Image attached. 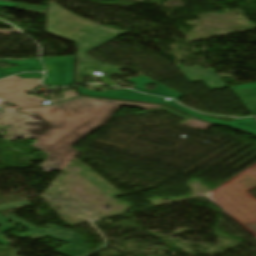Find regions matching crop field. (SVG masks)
Here are the masks:
<instances>
[{
	"mask_svg": "<svg viewBox=\"0 0 256 256\" xmlns=\"http://www.w3.org/2000/svg\"><path fill=\"white\" fill-rule=\"evenodd\" d=\"M136 106L141 109L162 107L157 105L97 99L80 96L74 100L61 104L19 109L20 113H37L53 128L36 139L32 144L36 148L50 154L45 164L39 166L45 172L51 170L63 171L79 151L69 148L70 145L85 137L104 123L121 106ZM83 112L82 115L76 114Z\"/></svg>",
	"mask_w": 256,
	"mask_h": 256,
	"instance_id": "8a807250",
	"label": "crop field"
},
{
	"mask_svg": "<svg viewBox=\"0 0 256 256\" xmlns=\"http://www.w3.org/2000/svg\"><path fill=\"white\" fill-rule=\"evenodd\" d=\"M57 23V24H55ZM76 26H73L76 24ZM47 31L78 43V61L99 63L85 53L125 33L101 26L69 12L56 3L49 4Z\"/></svg>",
	"mask_w": 256,
	"mask_h": 256,
	"instance_id": "ac0d7876",
	"label": "crop field"
},
{
	"mask_svg": "<svg viewBox=\"0 0 256 256\" xmlns=\"http://www.w3.org/2000/svg\"><path fill=\"white\" fill-rule=\"evenodd\" d=\"M0 122L10 125L8 128L24 139L37 138L52 128L37 114H19L18 106L0 98Z\"/></svg>",
	"mask_w": 256,
	"mask_h": 256,
	"instance_id": "34b2d1b8",
	"label": "crop field"
},
{
	"mask_svg": "<svg viewBox=\"0 0 256 256\" xmlns=\"http://www.w3.org/2000/svg\"><path fill=\"white\" fill-rule=\"evenodd\" d=\"M40 80L41 79H20L17 76L0 80V97L18 104L19 107L41 106L42 104L40 102H42L43 99L25 95V91L38 86ZM63 93L64 97L62 99L52 101L58 102L77 96L72 90Z\"/></svg>",
	"mask_w": 256,
	"mask_h": 256,
	"instance_id": "412701ff",
	"label": "crop field"
},
{
	"mask_svg": "<svg viewBox=\"0 0 256 256\" xmlns=\"http://www.w3.org/2000/svg\"><path fill=\"white\" fill-rule=\"evenodd\" d=\"M47 69L43 84L52 86L73 83V57L42 59Z\"/></svg>",
	"mask_w": 256,
	"mask_h": 256,
	"instance_id": "f4fd0767",
	"label": "crop field"
},
{
	"mask_svg": "<svg viewBox=\"0 0 256 256\" xmlns=\"http://www.w3.org/2000/svg\"><path fill=\"white\" fill-rule=\"evenodd\" d=\"M7 217L30 231L88 248V246L84 243V241L78 236V234L75 231L61 228L58 226H53L52 228H50L51 230L45 231L42 229H38L28 223H25L24 220L20 219L15 215H10ZM56 231H59V233H57ZM69 232H72V234H70Z\"/></svg>",
	"mask_w": 256,
	"mask_h": 256,
	"instance_id": "dd49c442",
	"label": "crop field"
},
{
	"mask_svg": "<svg viewBox=\"0 0 256 256\" xmlns=\"http://www.w3.org/2000/svg\"><path fill=\"white\" fill-rule=\"evenodd\" d=\"M78 92L86 95H99V96L121 98V99L140 100V101H147L152 103H162L166 105H173L175 103L174 100L170 102H163L164 98L155 97V96H145L144 94H140L132 90L105 91L103 93H98L94 91H88L83 88H78Z\"/></svg>",
	"mask_w": 256,
	"mask_h": 256,
	"instance_id": "e52e79f7",
	"label": "crop field"
},
{
	"mask_svg": "<svg viewBox=\"0 0 256 256\" xmlns=\"http://www.w3.org/2000/svg\"><path fill=\"white\" fill-rule=\"evenodd\" d=\"M172 107H174V108H176V109H178V110H180L184 113H187L191 116H194L196 118L206 120V121H210V122H214V123H218V124H222V125H226V126H230V127H234V128H238V129H242V130H245V131H247V132L256 136V121H255L254 118L238 119V120L227 122V121L207 117L205 115L199 114L197 112H194V111H191L187 108L179 106L176 103Z\"/></svg>",
	"mask_w": 256,
	"mask_h": 256,
	"instance_id": "d8731c3e",
	"label": "crop field"
},
{
	"mask_svg": "<svg viewBox=\"0 0 256 256\" xmlns=\"http://www.w3.org/2000/svg\"><path fill=\"white\" fill-rule=\"evenodd\" d=\"M129 82L136 84V86L134 87L135 90H138L140 92L147 93V94H152V95H157V96H162V97H172L175 99H177L179 96L182 95V94H180L162 84H159L143 75H138L137 78H130ZM146 83H154L157 86L155 87V89L153 91L147 90V89H145Z\"/></svg>",
	"mask_w": 256,
	"mask_h": 256,
	"instance_id": "5a996713",
	"label": "crop field"
},
{
	"mask_svg": "<svg viewBox=\"0 0 256 256\" xmlns=\"http://www.w3.org/2000/svg\"><path fill=\"white\" fill-rule=\"evenodd\" d=\"M242 103L256 115V83L231 88Z\"/></svg>",
	"mask_w": 256,
	"mask_h": 256,
	"instance_id": "3316defc",
	"label": "crop field"
},
{
	"mask_svg": "<svg viewBox=\"0 0 256 256\" xmlns=\"http://www.w3.org/2000/svg\"><path fill=\"white\" fill-rule=\"evenodd\" d=\"M88 67H95L100 68L101 72L107 73L106 76L100 77L102 80L105 81L107 84H113L114 82L111 81L108 76H111L113 74H117L122 76L124 73L119 72L120 68L117 67H109V66H100V65H93L88 63H77V82L83 83V76H92L90 70Z\"/></svg>",
	"mask_w": 256,
	"mask_h": 256,
	"instance_id": "28ad6ade",
	"label": "crop field"
},
{
	"mask_svg": "<svg viewBox=\"0 0 256 256\" xmlns=\"http://www.w3.org/2000/svg\"><path fill=\"white\" fill-rule=\"evenodd\" d=\"M0 61H5L9 64H17V67H11V68H6L2 69L0 68L1 71L4 73L10 75L16 72L20 71H37V70H43L42 65L40 64V61L38 59H29V60H0Z\"/></svg>",
	"mask_w": 256,
	"mask_h": 256,
	"instance_id": "d1516ede",
	"label": "crop field"
},
{
	"mask_svg": "<svg viewBox=\"0 0 256 256\" xmlns=\"http://www.w3.org/2000/svg\"><path fill=\"white\" fill-rule=\"evenodd\" d=\"M88 251H89L88 249L69 244L63 247L62 249L58 250L57 252L65 256H81L87 253Z\"/></svg>",
	"mask_w": 256,
	"mask_h": 256,
	"instance_id": "22f410ed",
	"label": "crop field"
},
{
	"mask_svg": "<svg viewBox=\"0 0 256 256\" xmlns=\"http://www.w3.org/2000/svg\"><path fill=\"white\" fill-rule=\"evenodd\" d=\"M0 6L8 7V8H14V9L34 11V12H41V13H44V11H45V9H42V8L30 7V6H24V5H17V4H11V3H5V2H0Z\"/></svg>",
	"mask_w": 256,
	"mask_h": 256,
	"instance_id": "cbeb9de0",
	"label": "crop field"
},
{
	"mask_svg": "<svg viewBox=\"0 0 256 256\" xmlns=\"http://www.w3.org/2000/svg\"><path fill=\"white\" fill-rule=\"evenodd\" d=\"M161 110H164V111H166V112H169V113H171V114H173V115H175V116H177V117H179V118H181V119H189V118H190V117L184 116V115H182V114H179V113H177V112H175V111H173V110H171V109H169V108H163V109H156V110H151V111H145V112H140V113H137V114L150 113V112H156V111H161Z\"/></svg>",
	"mask_w": 256,
	"mask_h": 256,
	"instance_id": "5142ce71",
	"label": "crop field"
},
{
	"mask_svg": "<svg viewBox=\"0 0 256 256\" xmlns=\"http://www.w3.org/2000/svg\"><path fill=\"white\" fill-rule=\"evenodd\" d=\"M12 228H14V227L11 226V225L5 224V225L1 226V228H0V233H2L3 231H6V230H10V229H12ZM0 237H2V239H0V243H2V244H4V245L8 246L7 244H8V242H9V240L6 239V238H5L4 236H2L1 234H0Z\"/></svg>",
	"mask_w": 256,
	"mask_h": 256,
	"instance_id": "d9b57169",
	"label": "crop field"
},
{
	"mask_svg": "<svg viewBox=\"0 0 256 256\" xmlns=\"http://www.w3.org/2000/svg\"><path fill=\"white\" fill-rule=\"evenodd\" d=\"M21 78H42V73H24L21 75H18Z\"/></svg>",
	"mask_w": 256,
	"mask_h": 256,
	"instance_id": "733c2abd",
	"label": "crop field"
},
{
	"mask_svg": "<svg viewBox=\"0 0 256 256\" xmlns=\"http://www.w3.org/2000/svg\"><path fill=\"white\" fill-rule=\"evenodd\" d=\"M27 204H28V202L24 201V202H19V203L3 205V206H0V210H4V209H8V208H13V207H18V206L27 205Z\"/></svg>",
	"mask_w": 256,
	"mask_h": 256,
	"instance_id": "4a817a6b",
	"label": "crop field"
},
{
	"mask_svg": "<svg viewBox=\"0 0 256 256\" xmlns=\"http://www.w3.org/2000/svg\"><path fill=\"white\" fill-rule=\"evenodd\" d=\"M16 236H18V237L26 236V237H28V238H29V239H31V240H34V239H37V238L43 237V236H40V235H37V234L31 233V232L22 233V234H17ZM18 237H17V238H18Z\"/></svg>",
	"mask_w": 256,
	"mask_h": 256,
	"instance_id": "bc2a9ffb",
	"label": "crop field"
},
{
	"mask_svg": "<svg viewBox=\"0 0 256 256\" xmlns=\"http://www.w3.org/2000/svg\"><path fill=\"white\" fill-rule=\"evenodd\" d=\"M7 221H9V220L4 218V217H2V216H0V224H3L5 222H7Z\"/></svg>",
	"mask_w": 256,
	"mask_h": 256,
	"instance_id": "214f88e0",
	"label": "crop field"
},
{
	"mask_svg": "<svg viewBox=\"0 0 256 256\" xmlns=\"http://www.w3.org/2000/svg\"><path fill=\"white\" fill-rule=\"evenodd\" d=\"M3 77H7V76L0 72V78H3Z\"/></svg>",
	"mask_w": 256,
	"mask_h": 256,
	"instance_id": "92a150f3",
	"label": "crop field"
}]
</instances>
